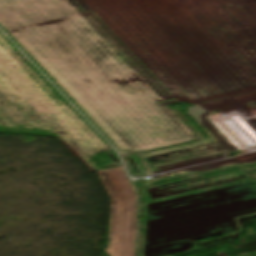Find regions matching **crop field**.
<instances>
[{
    "instance_id": "3",
    "label": "crop field",
    "mask_w": 256,
    "mask_h": 256,
    "mask_svg": "<svg viewBox=\"0 0 256 256\" xmlns=\"http://www.w3.org/2000/svg\"><path fill=\"white\" fill-rule=\"evenodd\" d=\"M0 73L80 156L98 152L1 51Z\"/></svg>"
},
{
    "instance_id": "1",
    "label": "crop field",
    "mask_w": 256,
    "mask_h": 256,
    "mask_svg": "<svg viewBox=\"0 0 256 256\" xmlns=\"http://www.w3.org/2000/svg\"><path fill=\"white\" fill-rule=\"evenodd\" d=\"M0 26L122 154L203 138L66 0H0Z\"/></svg>"
},
{
    "instance_id": "2",
    "label": "crop field",
    "mask_w": 256,
    "mask_h": 256,
    "mask_svg": "<svg viewBox=\"0 0 256 256\" xmlns=\"http://www.w3.org/2000/svg\"><path fill=\"white\" fill-rule=\"evenodd\" d=\"M111 200L110 256H135L137 196L122 167L98 172Z\"/></svg>"
}]
</instances>
